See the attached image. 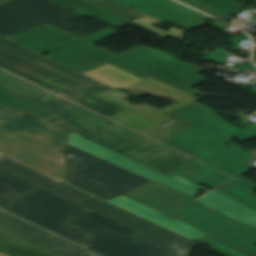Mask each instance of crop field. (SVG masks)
Masks as SVG:
<instances>
[{"mask_svg":"<svg viewBox=\"0 0 256 256\" xmlns=\"http://www.w3.org/2000/svg\"><path fill=\"white\" fill-rule=\"evenodd\" d=\"M0 106L3 108L12 109V110L30 112L36 116H39L47 120L52 117L58 116L57 114L49 110H46L36 104H33L1 88H0Z\"/></svg>","mask_w":256,"mask_h":256,"instance_id":"obj_23","label":"crop field"},{"mask_svg":"<svg viewBox=\"0 0 256 256\" xmlns=\"http://www.w3.org/2000/svg\"><path fill=\"white\" fill-rule=\"evenodd\" d=\"M83 250L88 254V256H101V255H99V254H97L95 252L89 251L87 249L83 248Z\"/></svg>","mask_w":256,"mask_h":256,"instance_id":"obj_41","label":"crop field"},{"mask_svg":"<svg viewBox=\"0 0 256 256\" xmlns=\"http://www.w3.org/2000/svg\"><path fill=\"white\" fill-rule=\"evenodd\" d=\"M190 157H187L173 149H170L142 164L166 174L184 164Z\"/></svg>","mask_w":256,"mask_h":256,"instance_id":"obj_26","label":"crop field"},{"mask_svg":"<svg viewBox=\"0 0 256 256\" xmlns=\"http://www.w3.org/2000/svg\"><path fill=\"white\" fill-rule=\"evenodd\" d=\"M81 16L50 0H10L0 5V36L7 38L49 24L82 39L86 36L68 24Z\"/></svg>","mask_w":256,"mask_h":256,"instance_id":"obj_10","label":"crop field"},{"mask_svg":"<svg viewBox=\"0 0 256 256\" xmlns=\"http://www.w3.org/2000/svg\"><path fill=\"white\" fill-rule=\"evenodd\" d=\"M178 174H180V175H182V176H184V177H186V178H188V179H190V180H192L196 183L202 182V183L207 184L209 186H212L214 188H216L220 185V184H218V183H216V182H214V181H212V180H210V179H208V178H206V177H204V176H202V175H200V174H198V173H196V172H194L190 169H187V170H185L183 172H180Z\"/></svg>","mask_w":256,"mask_h":256,"instance_id":"obj_36","label":"crop field"},{"mask_svg":"<svg viewBox=\"0 0 256 256\" xmlns=\"http://www.w3.org/2000/svg\"><path fill=\"white\" fill-rule=\"evenodd\" d=\"M53 192L76 203V204H78L81 200H83L86 197V195H84L66 185L60 187L59 189H57Z\"/></svg>","mask_w":256,"mask_h":256,"instance_id":"obj_35","label":"crop field"},{"mask_svg":"<svg viewBox=\"0 0 256 256\" xmlns=\"http://www.w3.org/2000/svg\"><path fill=\"white\" fill-rule=\"evenodd\" d=\"M120 33L111 28L79 40L49 25L7 38L32 51L51 52L47 56L80 72L110 62L143 78L154 76L192 95L200 92L190 88L206 81L197 74L203 72L168 54L151 48H137L118 56L92 44Z\"/></svg>","mask_w":256,"mask_h":256,"instance_id":"obj_1","label":"crop field"},{"mask_svg":"<svg viewBox=\"0 0 256 256\" xmlns=\"http://www.w3.org/2000/svg\"><path fill=\"white\" fill-rule=\"evenodd\" d=\"M0 231L57 256L80 255V250L75 244L3 211L0 212Z\"/></svg>","mask_w":256,"mask_h":256,"instance_id":"obj_14","label":"crop field"},{"mask_svg":"<svg viewBox=\"0 0 256 256\" xmlns=\"http://www.w3.org/2000/svg\"><path fill=\"white\" fill-rule=\"evenodd\" d=\"M0 240L5 242V243H8L12 246H15V247H17L21 250H24V251H26V252L34 255V256H55L53 254H50L46 251H43V250L37 248V247L29 246V245L11 237V236H8V235H6L2 232H0Z\"/></svg>","mask_w":256,"mask_h":256,"instance_id":"obj_34","label":"crop field"},{"mask_svg":"<svg viewBox=\"0 0 256 256\" xmlns=\"http://www.w3.org/2000/svg\"><path fill=\"white\" fill-rule=\"evenodd\" d=\"M111 119L142 133L157 125L129 111H125Z\"/></svg>","mask_w":256,"mask_h":256,"instance_id":"obj_29","label":"crop field"},{"mask_svg":"<svg viewBox=\"0 0 256 256\" xmlns=\"http://www.w3.org/2000/svg\"><path fill=\"white\" fill-rule=\"evenodd\" d=\"M108 202L120 206L126 210H129L139 216H142L148 220H151L159 225H162L168 229H171L179 234H182L188 238L198 239L207 234L185 224L171 217H168L158 211L150 209L146 206L133 202L124 197H117Z\"/></svg>","mask_w":256,"mask_h":256,"instance_id":"obj_16","label":"crop field"},{"mask_svg":"<svg viewBox=\"0 0 256 256\" xmlns=\"http://www.w3.org/2000/svg\"><path fill=\"white\" fill-rule=\"evenodd\" d=\"M0 256H8V255H6V254H4V253H0Z\"/></svg>","mask_w":256,"mask_h":256,"instance_id":"obj_42","label":"crop field"},{"mask_svg":"<svg viewBox=\"0 0 256 256\" xmlns=\"http://www.w3.org/2000/svg\"><path fill=\"white\" fill-rule=\"evenodd\" d=\"M5 1H7V0H0V3L5 2Z\"/></svg>","mask_w":256,"mask_h":256,"instance_id":"obj_43","label":"crop field"},{"mask_svg":"<svg viewBox=\"0 0 256 256\" xmlns=\"http://www.w3.org/2000/svg\"><path fill=\"white\" fill-rule=\"evenodd\" d=\"M68 182L105 200L115 198L141 185L152 182L127 170L119 168L73 146H66ZM76 155L81 159L69 158Z\"/></svg>","mask_w":256,"mask_h":256,"instance_id":"obj_7","label":"crop field"},{"mask_svg":"<svg viewBox=\"0 0 256 256\" xmlns=\"http://www.w3.org/2000/svg\"><path fill=\"white\" fill-rule=\"evenodd\" d=\"M0 67L107 117L125 110L95 96L114 88L2 38Z\"/></svg>","mask_w":256,"mask_h":256,"instance_id":"obj_3","label":"crop field"},{"mask_svg":"<svg viewBox=\"0 0 256 256\" xmlns=\"http://www.w3.org/2000/svg\"><path fill=\"white\" fill-rule=\"evenodd\" d=\"M240 69L256 71V67L252 63H249V62H247L246 66H241Z\"/></svg>","mask_w":256,"mask_h":256,"instance_id":"obj_39","label":"crop field"},{"mask_svg":"<svg viewBox=\"0 0 256 256\" xmlns=\"http://www.w3.org/2000/svg\"><path fill=\"white\" fill-rule=\"evenodd\" d=\"M95 6H98L106 11H109L119 17H122L126 20L134 18L135 20H132L130 22H134L144 16L145 14L136 11L130 7H127L119 2H116L114 0H85ZM129 21V20H128Z\"/></svg>","mask_w":256,"mask_h":256,"instance_id":"obj_28","label":"crop field"},{"mask_svg":"<svg viewBox=\"0 0 256 256\" xmlns=\"http://www.w3.org/2000/svg\"><path fill=\"white\" fill-rule=\"evenodd\" d=\"M255 16H256V12H255V14H254Z\"/></svg>","mask_w":256,"mask_h":256,"instance_id":"obj_44","label":"crop field"},{"mask_svg":"<svg viewBox=\"0 0 256 256\" xmlns=\"http://www.w3.org/2000/svg\"><path fill=\"white\" fill-rule=\"evenodd\" d=\"M82 205L139 231L140 233L134 237L176 256H188V252L193 247L199 245L192 240L175 234L131 212L114 207L96 197L91 196Z\"/></svg>","mask_w":256,"mask_h":256,"instance_id":"obj_11","label":"crop field"},{"mask_svg":"<svg viewBox=\"0 0 256 256\" xmlns=\"http://www.w3.org/2000/svg\"><path fill=\"white\" fill-rule=\"evenodd\" d=\"M138 189L147 192L153 196H156L160 199H163L169 203H172L178 207L194 200V197H191L175 188H172L158 180L139 187Z\"/></svg>","mask_w":256,"mask_h":256,"instance_id":"obj_24","label":"crop field"},{"mask_svg":"<svg viewBox=\"0 0 256 256\" xmlns=\"http://www.w3.org/2000/svg\"><path fill=\"white\" fill-rule=\"evenodd\" d=\"M196 201L247 224L256 226V211L215 190Z\"/></svg>","mask_w":256,"mask_h":256,"instance_id":"obj_17","label":"crop field"},{"mask_svg":"<svg viewBox=\"0 0 256 256\" xmlns=\"http://www.w3.org/2000/svg\"><path fill=\"white\" fill-rule=\"evenodd\" d=\"M256 189V185L241 177L218 190L254 209H256V195L252 192Z\"/></svg>","mask_w":256,"mask_h":256,"instance_id":"obj_25","label":"crop field"},{"mask_svg":"<svg viewBox=\"0 0 256 256\" xmlns=\"http://www.w3.org/2000/svg\"><path fill=\"white\" fill-rule=\"evenodd\" d=\"M122 196L158 210L256 255V247L252 246L256 243V227L242 223L220 212H211L208 207L196 201L186 204L181 209L138 189Z\"/></svg>","mask_w":256,"mask_h":256,"instance_id":"obj_6","label":"crop field"},{"mask_svg":"<svg viewBox=\"0 0 256 256\" xmlns=\"http://www.w3.org/2000/svg\"><path fill=\"white\" fill-rule=\"evenodd\" d=\"M161 21L174 22L188 30L207 24L209 17L171 0H116Z\"/></svg>","mask_w":256,"mask_h":256,"instance_id":"obj_15","label":"crop field"},{"mask_svg":"<svg viewBox=\"0 0 256 256\" xmlns=\"http://www.w3.org/2000/svg\"><path fill=\"white\" fill-rule=\"evenodd\" d=\"M187 168H191V169H193V170H195V171H197V172H199V173H201V174H203V175H205V176H207V177H209L213 180H216V181H218L222 184H224V183L233 179L229 176H226V175H224V174H222V173H220L216 170H213V169L199 163L197 160H195L191 163H188V164H186V165H184V166H182V167H180V168H178V169H176V170H174V171H172V172H170L166 175L171 177L174 174H176V173H178L182 170H185Z\"/></svg>","mask_w":256,"mask_h":256,"instance_id":"obj_30","label":"crop field"},{"mask_svg":"<svg viewBox=\"0 0 256 256\" xmlns=\"http://www.w3.org/2000/svg\"><path fill=\"white\" fill-rule=\"evenodd\" d=\"M226 15L244 7L245 5L234 0H195Z\"/></svg>","mask_w":256,"mask_h":256,"instance_id":"obj_32","label":"crop field"},{"mask_svg":"<svg viewBox=\"0 0 256 256\" xmlns=\"http://www.w3.org/2000/svg\"><path fill=\"white\" fill-rule=\"evenodd\" d=\"M138 21L141 22V24L138 23L137 21L134 22V23H132V24L136 25L135 23H138V24H140V25H139V26L136 25V26H138V27H140V28H142V29H144V30H147V31H149V32H151V33H153V34L159 36V37L163 36L162 33H160V32H164V31H162V30H160V29H158V28H156V27H154V26H151V23H157V24H159V23H161V21H159V20H157V19H154V18H152V17H150V16H146V17H144V18H142V19H140V20H138ZM145 24L147 25V26H145V27H147V28H149V29H151V30H153V31H156V32L154 33V32H152V31H150V30L144 28V25H145ZM178 31L181 32V33H178ZM164 33L169 34V35H172V36H174V37H176V38L182 40L183 31H181V30H179V29H176V28H174V27H172L170 30H168V31H166V32H164Z\"/></svg>","mask_w":256,"mask_h":256,"instance_id":"obj_33","label":"crop field"},{"mask_svg":"<svg viewBox=\"0 0 256 256\" xmlns=\"http://www.w3.org/2000/svg\"><path fill=\"white\" fill-rule=\"evenodd\" d=\"M127 96L128 95H126L122 92H119L116 89L111 92L98 95V97H100L102 99H105L109 102L119 105V106H121L137 115H140L146 119H149L157 124H159L166 118L172 116L171 114H168L162 110H159V109L149 106L147 104L133 105V104L125 101L126 99L129 98Z\"/></svg>","mask_w":256,"mask_h":256,"instance_id":"obj_19","label":"crop field"},{"mask_svg":"<svg viewBox=\"0 0 256 256\" xmlns=\"http://www.w3.org/2000/svg\"><path fill=\"white\" fill-rule=\"evenodd\" d=\"M172 119H175V121L167 127H165L164 129H161L162 126L166 125ZM191 124L192 123L182 120L176 116H172L144 134L164 143L173 136H175L176 134H178L179 132H181L182 130H184L185 128H187L188 126H190Z\"/></svg>","mask_w":256,"mask_h":256,"instance_id":"obj_27","label":"crop field"},{"mask_svg":"<svg viewBox=\"0 0 256 256\" xmlns=\"http://www.w3.org/2000/svg\"><path fill=\"white\" fill-rule=\"evenodd\" d=\"M199 241L213 247L212 249L225 255V256H254L250 253L237 249L215 237L207 235L198 239Z\"/></svg>","mask_w":256,"mask_h":256,"instance_id":"obj_31","label":"crop field"},{"mask_svg":"<svg viewBox=\"0 0 256 256\" xmlns=\"http://www.w3.org/2000/svg\"><path fill=\"white\" fill-rule=\"evenodd\" d=\"M168 149L170 148L142 136L135 141L129 143L128 145L122 147L121 149L117 150V152L139 163H142Z\"/></svg>","mask_w":256,"mask_h":256,"instance_id":"obj_21","label":"crop field"},{"mask_svg":"<svg viewBox=\"0 0 256 256\" xmlns=\"http://www.w3.org/2000/svg\"><path fill=\"white\" fill-rule=\"evenodd\" d=\"M180 1L186 3V4L190 5V6H193V7L197 8V9H200V10H202V11H204V12H206V13L214 16V17L222 19L224 21H226V20L231 18V17L226 16V15L220 13V12H217V11L211 9V8H208V7H206V6L202 5V4H199V3H197V2H195L193 0H180Z\"/></svg>","mask_w":256,"mask_h":256,"instance_id":"obj_37","label":"crop field"},{"mask_svg":"<svg viewBox=\"0 0 256 256\" xmlns=\"http://www.w3.org/2000/svg\"><path fill=\"white\" fill-rule=\"evenodd\" d=\"M67 8H73L75 12L85 15L86 17H93L112 26L120 28L130 22L119 18L109 12H106L98 7H95L82 0H53Z\"/></svg>","mask_w":256,"mask_h":256,"instance_id":"obj_22","label":"crop field"},{"mask_svg":"<svg viewBox=\"0 0 256 256\" xmlns=\"http://www.w3.org/2000/svg\"><path fill=\"white\" fill-rule=\"evenodd\" d=\"M70 224L86 234L85 248L103 256H174L134 238L137 231L91 210Z\"/></svg>","mask_w":256,"mask_h":256,"instance_id":"obj_8","label":"crop field"},{"mask_svg":"<svg viewBox=\"0 0 256 256\" xmlns=\"http://www.w3.org/2000/svg\"><path fill=\"white\" fill-rule=\"evenodd\" d=\"M172 114L194 124L164 144L179 151L187 150L201 162L233 177L251 167L245 163L254 156L228 139L235 136L247 141L256 134L242 131L198 102Z\"/></svg>","mask_w":256,"mask_h":256,"instance_id":"obj_2","label":"crop field"},{"mask_svg":"<svg viewBox=\"0 0 256 256\" xmlns=\"http://www.w3.org/2000/svg\"><path fill=\"white\" fill-rule=\"evenodd\" d=\"M0 87L61 116L49 121L63 126L111 150H117L141 135L92 113L42 88L0 70ZM111 122L114 126H108Z\"/></svg>","mask_w":256,"mask_h":256,"instance_id":"obj_5","label":"crop field"},{"mask_svg":"<svg viewBox=\"0 0 256 256\" xmlns=\"http://www.w3.org/2000/svg\"><path fill=\"white\" fill-rule=\"evenodd\" d=\"M254 125L250 124L249 126H247L244 131H248V132H254L256 133V127H253Z\"/></svg>","mask_w":256,"mask_h":256,"instance_id":"obj_40","label":"crop field"},{"mask_svg":"<svg viewBox=\"0 0 256 256\" xmlns=\"http://www.w3.org/2000/svg\"><path fill=\"white\" fill-rule=\"evenodd\" d=\"M0 167L48 190L63 184L2 154H0Z\"/></svg>","mask_w":256,"mask_h":256,"instance_id":"obj_18","label":"crop field"},{"mask_svg":"<svg viewBox=\"0 0 256 256\" xmlns=\"http://www.w3.org/2000/svg\"><path fill=\"white\" fill-rule=\"evenodd\" d=\"M69 143L73 144L74 146L96 156L103 160H106L110 163H113L117 166H120L124 169H127L131 172L139 174L143 177H146L150 180L159 179L173 187H176L190 195L198 192L196 191L198 187L209 191L208 189L195 184L179 175H174L173 177L169 178L155 170H152L142 164L134 162L116 152H113L101 145H98L86 138H83L73 132H70Z\"/></svg>","mask_w":256,"mask_h":256,"instance_id":"obj_13","label":"crop field"},{"mask_svg":"<svg viewBox=\"0 0 256 256\" xmlns=\"http://www.w3.org/2000/svg\"><path fill=\"white\" fill-rule=\"evenodd\" d=\"M36 186L0 168V208Z\"/></svg>","mask_w":256,"mask_h":256,"instance_id":"obj_20","label":"crop field"},{"mask_svg":"<svg viewBox=\"0 0 256 256\" xmlns=\"http://www.w3.org/2000/svg\"><path fill=\"white\" fill-rule=\"evenodd\" d=\"M0 252H4L10 256H32L24 251H21L1 241H0Z\"/></svg>","mask_w":256,"mask_h":256,"instance_id":"obj_38","label":"crop field"},{"mask_svg":"<svg viewBox=\"0 0 256 256\" xmlns=\"http://www.w3.org/2000/svg\"><path fill=\"white\" fill-rule=\"evenodd\" d=\"M4 210L80 245L84 239L80 231L66 223L87 209L41 187L14 201Z\"/></svg>","mask_w":256,"mask_h":256,"instance_id":"obj_9","label":"crop field"},{"mask_svg":"<svg viewBox=\"0 0 256 256\" xmlns=\"http://www.w3.org/2000/svg\"><path fill=\"white\" fill-rule=\"evenodd\" d=\"M255 117H256V115H255Z\"/></svg>","mask_w":256,"mask_h":256,"instance_id":"obj_45","label":"crop field"},{"mask_svg":"<svg viewBox=\"0 0 256 256\" xmlns=\"http://www.w3.org/2000/svg\"><path fill=\"white\" fill-rule=\"evenodd\" d=\"M85 74L133 95H154L167 99L174 103L173 105L163 109L168 112L174 111L198 100L193 96L175 89L161 81L153 78L143 80L109 64L103 65Z\"/></svg>","mask_w":256,"mask_h":256,"instance_id":"obj_12","label":"crop field"},{"mask_svg":"<svg viewBox=\"0 0 256 256\" xmlns=\"http://www.w3.org/2000/svg\"><path fill=\"white\" fill-rule=\"evenodd\" d=\"M0 152L65 181L67 131L36 116L0 108Z\"/></svg>","mask_w":256,"mask_h":256,"instance_id":"obj_4","label":"crop field"}]
</instances>
